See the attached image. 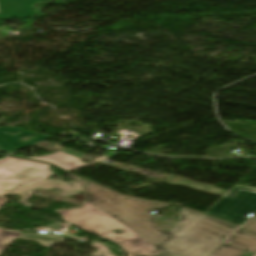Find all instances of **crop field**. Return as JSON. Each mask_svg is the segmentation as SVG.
<instances>
[{"mask_svg":"<svg viewBox=\"0 0 256 256\" xmlns=\"http://www.w3.org/2000/svg\"><path fill=\"white\" fill-rule=\"evenodd\" d=\"M88 203L170 256H205L238 227L204 215L182 236L160 229L148 213L167 204L122 196L83 179Z\"/></svg>","mask_w":256,"mask_h":256,"instance_id":"8a807250","label":"crop field"},{"mask_svg":"<svg viewBox=\"0 0 256 256\" xmlns=\"http://www.w3.org/2000/svg\"><path fill=\"white\" fill-rule=\"evenodd\" d=\"M56 212L63 217V220L78 226L84 231L94 233L118 244L125 250L127 256H153L161 253L127 227L87 202L83 203V208L56 210ZM116 229L123 233L116 234L113 232Z\"/></svg>","mask_w":256,"mask_h":256,"instance_id":"ac0d7876","label":"crop field"},{"mask_svg":"<svg viewBox=\"0 0 256 256\" xmlns=\"http://www.w3.org/2000/svg\"><path fill=\"white\" fill-rule=\"evenodd\" d=\"M48 164L15 158L0 159V196L47 179Z\"/></svg>","mask_w":256,"mask_h":256,"instance_id":"34b2d1b8","label":"crop field"},{"mask_svg":"<svg viewBox=\"0 0 256 256\" xmlns=\"http://www.w3.org/2000/svg\"><path fill=\"white\" fill-rule=\"evenodd\" d=\"M238 194L233 199L222 197L206 214L229 221L240 226L249 212H256V189L236 185L231 188Z\"/></svg>","mask_w":256,"mask_h":256,"instance_id":"412701ff","label":"crop field"},{"mask_svg":"<svg viewBox=\"0 0 256 256\" xmlns=\"http://www.w3.org/2000/svg\"><path fill=\"white\" fill-rule=\"evenodd\" d=\"M228 240L229 244L223 243L208 256H252L256 253V236L239 229Z\"/></svg>","mask_w":256,"mask_h":256,"instance_id":"f4fd0767","label":"crop field"},{"mask_svg":"<svg viewBox=\"0 0 256 256\" xmlns=\"http://www.w3.org/2000/svg\"><path fill=\"white\" fill-rule=\"evenodd\" d=\"M65 175L74 178V180L70 181V182H64V181L47 179L38 184L26 187L24 189H21V190H18V191L9 193V194L21 196L18 203L25 205L27 207H30L32 205L27 203L26 201L32 195L31 191L36 188H43V189L59 188L64 191L61 196H68V195H73V194L83 192L81 180L79 177L71 175L69 173H67ZM9 194H7V195H9ZM7 195H4V196H7Z\"/></svg>","mask_w":256,"mask_h":256,"instance_id":"dd49c442","label":"crop field"},{"mask_svg":"<svg viewBox=\"0 0 256 256\" xmlns=\"http://www.w3.org/2000/svg\"><path fill=\"white\" fill-rule=\"evenodd\" d=\"M18 131H23L22 133L12 136L9 133H17ZM3 132H8L7 134H3ZM36 135L35 138L30 139L26 142L22 141L20 138L22 136H30V135ZM49 137L29 132L23 129H19L16 127H3L0 128V147L7 153L9 151H15L17 149H20L22 147L34 145L44 139H48Z\"/></svg>","mask_w":256,"mask_h":256,"instance_id":"e52e79f7","label":"crop field"},{"mask_svg":"<svg viewBox=\"0 0 256 256\" xmlns=\"http://www.w3.org/2000/svg\"><path fill=\"white\" fill-rule=\"evenodd\" d=\"M43 0H0V11L3 19H24L35 13L30 5Z\"/></svg>","mask_w":256,"mask_h":256,"instance_id":"d8731c3e","label":"crop field"},{"mask_svg":"<svg viewBox=\"0 0 256 256\" xmlns=\"http://www.w3.org/2000/svg\"><path fill=\"white\" fill-rule=\"evenodd\" d=\"M30 159L48 162L67 171H71V170L92 164V163H83L81 162V159L73 157L62 151L58 153L50 154V155H45V156L30 157Z\"/></svg>","mask_w":256,"mask_h":256,"instance_id":"5a996713","label":"crop field"},{"mask_svg":"<svg viewBox=\"0 0 256 256\" xmlns=\"http://www.w3.org/2000/svg\"><path fill=\"white\" fill-rule=\"evenodd\" d=\"M203 214L180 208L178 219L179 223L176 225L175 229L171 232L182 235L190 226H192Z\"/></svg>","mask_w":256,"mask_h":256,"instance_id":"3316defc","label":"crop field"},{"mask_svg":"<svg viewBox=\"0 0 256 256\" xmlns=\"http://www.w3.org/2000/svg\"><path fill=\"white\" fill-rule=\"evenodd\" d=\"M17 239H28L32 241H37L41 245L46 247H51L55 243H61L65 240L64 237L53 236V235H37L31 233H22Z\"/></svg>","mask_w":256,"mask_h":256,"instance_id":"28ad6ade","label":"crop field"},{"mask_svg":"<svg viewBox=\"0 0 256 256\" xmlns=\"http://www.w3.org/2000/svg\"><path fill=\"white\" fill-rule=\"evenodd\" d=\"M7 202L8 200L1 196L0 208ZM20 234L21 232L7 233L5 230L0 229V256Z\"/></svg>","mask_w":256,"mask_h":256,"instance_id":"d1516ede","label":"crop field"},{"mask_svg":"<svg viewBox=\"0 0 256 256\" xmlns=\"http://www.w3.org/2000/svg\"><path fill=\"white\" fill-rule=\"evenodd\" d=\"M90 245L97 248V250L90 256H109V248L96 242H92Z\"/></svg>","mask_w":256,"mask_h":256,"instance_id":"22f410ed","label":"crop field"},{"mask_svg":"<svg viewBox=\"0 0 256 256\" xmlns=\"http://www.w3.org/2000/svg\"><path fill=\"white\" fill-rule=\"evenodd\" d=\"M242 228L256 234V216L251 218L246 224L242 226Z\"/></svg>","mask_w":256,"mask_h":256,"instance_id":"cbeb9de0","label":"crop field"},{"mask_svg":"<svg viewBox=\"0 0 256 256\" xmlns=\"http://www.w3.org/2000/svg\"><path fill=\"white\" fill-rule=\"evenodd\" d=\"M62 225H54V224H49L47 225V228L57 230L61 227Z\"/></svg>","mask_w":256,"mask_h":256,"instance_id":"5142ce71","label":"crop field"},{"mask_svg":"<svg viewBox=\"0 0 256 256\" xmlns=\"http://www.w3.org/2000/svg\"><path fill=\"white\" fill-rule=\"evenodd\" d=\"M225 197H228V198H233L235 196H237L235 193H233L231 191V189L224 195Z\"/></svg>","mask_w":256,"mask_h":256,"instance_id":"d9b57169","label":"crop field"},{"mask_svg":"<svg viewBox=\"0 0 256 256\" xmlns=\"http://www.w3.org/2000/svg\"><path fill=\"white\" fill-rule=\"evenodd\" d=\"M110 255L111 256H115V254L110 250Z\"/></svg>","mask_w":256,"mask_h":256,"instance_id":"733c2abd","label":"crop field"},{"mask_svg":"<svg viewBox=\"0 0 256 256\" xmlns=\"http://www.w3.org/2000/svg\"><path fill=\"white\" fill-rule=\"evenodd\" d=\"M156 256H166V255L160 254V255H156Z\"/></svg>","mask_w":256,"mask_h":256,"instance_id":"4a817a6b","label":"crop field"},{"mask_svg":"<svg viewBox=\"0 0 256 256\" xmlns=\"http://www.w3.org/2000/svg\"><path fill=\"white\" fill-rule=\"evenodd\" d=\"M254 256H256V254Z\"/></svg>","mask_w":256,"mask_h":256,"instance_id":"bc2a9ffb","label":"crop field"}]
</instances>
